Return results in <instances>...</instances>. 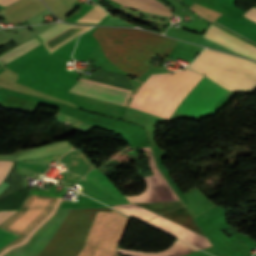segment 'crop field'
Returning <instances> with one entry per match:
<instances>
[{
  "mask_svg": "<svg viewBox=\"0 0 256 256\" xmlns=\"http://www.w3.org/2000/svg\"><path fill=\"white\" fill-rule=\"evenodd\" d=\"M173 73L150 75L127 106L168 119L203 77L188 70ZM226 93L204 77L184 99L177 112L203 118Z\"/></svg>",
  "mask_w": 256,
  "mask_h": 256,
  "instance_id": "crop-field-1",
  "label": "crop field"
},
{
  "mask_svg": "<svg viewBox=\"0 0 256 256\" xmlns=\"http://www.w3.org/2000/svg\"><path fill=\"white\" fill-rule=\"evenodd\" d=\"M93 37L107 59L126 75L139 77L150 66V58L167 56L177 40L136 29L98 27Z\"/></svg>",
  "mask_w": 256,
  "mask_h": 256,
  "instance_id": "crop-field-2",
  "label": "crop field"
},
{
  "mask_svg": "<svg viewBox=\"0 0 256 256\" xmlns=\"http://www.w3.org/2000/svg\"><path fill=\"white\" fill-rule=\"evenodd\" d=\"M233 91L256 87V63L247 59L205 49L188 67Z\"/></svg>",
  "mask_w": 256,
  "mask_h": 256,
  "instance_id": "crop-field-3",
  "label": "crop field"
},
{
  "mask_svg": "<svg viewBox=\"0 0 256 256\" xmlns=\"http://www.w3.org/2000/svg\"><path fill=\"white\" fill-rule=\"evenodd\" d=\"M85 208L71 209L57 234L39 256H52ZM97 210H110V208H86L82 216L64 239L53 256H77L82 249L91 222Z\"/></svg>",
  "mask_w": 256,
  "mask_h": 256,
  "instance_id": "crop-field-4",
  "label": "crop field"
},
{
  "mask_svg": "<svg viewBox=\"0 0 256 256\" xmlns=\"http://www.w3.org/2000/svg\"><path fill=\"white\" fill-rule=\"evenodd\" d=\"M132 91L109 86L85 79H81L71 89L70 93L98 99L101 101L126 107L127 100Z\"/></svg>",
  "mask_w": 256,
  "mask_h": 256,
  "instance_id": "crop-field-5",
  "label": "crop field"
},
{
  "mask_svg": "<svg viewBox=\"0 0 256 256\" xmlns=\"http://www.w3.org/2000/svg\"><path fill=\"white\" fill-rule=\"evenodd\" d=\"M152 212H155L167 219H170L184 227H187L201 235L204 233L185 209L181 201L165 204H138Z\"/></svg>",
  "mask_w": 256,
  "mask_h": 256,
  "instance_id": "crop-field-6",
  "label": "crop field"
},
{
  "mask_svg": "<svg viewBox=\"0 0 256 256\" xmlns=\"http://www.w3.org/2000/svg\"><path fill=\"white\" fill-rule=\"evenodd\" d=\"M204 38L256 61V47L211 24Z\"/></svg>",
  "mask_w": 256,
  "mask_h": 256,
  "instance_id": "crop-field-7",
  "label": "crop field"
},
{
  "mask_svg": "<svg viewBox=\"0 0 256 256\" xmlns=\"http://www.w3.org/2000/svg\"><path fill=\"white\" fill-rule=\"evenodd\" d=\"M71 145L67 141L57 142L52 145L38 147L20 155L16 160L33 159L48 155L62 154L70 151Z\"/></svg>",
  "mask_w": 256,
  "mask_h": 256,
  "instance_id": "crop-field-8",
  "label": "crop field"
},
{
  "mask_svg": "<svg viewBox=\"0 0 256 256\" xmlns=\"http://www.w3.org/2000/svg\"><path fill=\"white\" fill-rule=\"evenodd\" d=\"M114 1L121 3L123 5H126V6L134 7L139 10L170 16V14H169L170 10L156 0H132V1L144 4L147 6H151V7H154V8L169 12V13L162 12V11H159V10H156V9H153V8H150V7H147V6H144V5L129 1V0H114Z\"/></svg>",
  "mask_w": 256,
  "mask_h": 256,
  "instance_id": "crop-field-9",
  "label": "crop field"
},
{
  "mask_svg": "<svg viewBox=\"0 0 256 256\" xmlns=\"http://www.w3.org/2000/svg\"><path fill=\"white\" fill-rule=\"evenodd\" d=\"M40 44V41L37 37L17 46L16 48L8 51L7 53L0 56V64H5L10 60L14 59L15 57L21 55L22 53L28 51L29 49L33 48L34 46Z\"/></svg>",
  "mask_w": 256,
  "mask_h": 256,
  "instance_id": "crop-field-10",
  "label": "crop field"
},
{
  "mask_svg": "<svg viewBox=\"0 0 256 256\" xmlns=\"http://www.w3.org/2000/svg\"><path fill=\"white\" fill-rule=\"evenodd\" d=\"M60 199L61 198H58V200L56 201V203L54 204V206H53V208H52V210H51V212L20 242V243H18V244H16V245H14V246H12V247H10V248H8V249H6V250H4V251H2V252H0V256L1 255H3L4 253H6L7 251H9V250H11V249H13V248H15V247H18V246H20V245H22V244H24L25 242H27L28 241V239H29V237L55 212V210H56V208H57V206H58V203H59V201H60Z\"/></svg>",
  "mask_w": 256,
  "mask_h": 256,
  "instance_id": "crop-field-11",
  "label": "crop field"
},
{
  "mask_svg": "<svg viewBox=\"0 0 256 256\" xmlns=\"http://www.w3.org/2000/svg\"><path fill=\"white\" fill-rule=\"evenodd\" d=\"M68 26L69 25H65L63 23H57L56 25L52 26L48 30L40 33L38 36H40L42 38L43 42H44L47 39H49L50 37H52L55 34H57L58 32H60L61 30L65 29Z\"/></svg>",
  "mask_w": 256,
  "mask_h": 256,
  "instance_id": "crop-field-12",
  "label": "crop field"
},
{
  "mask_svg": "<svg viewBox=\"0 0 256 256\" xmlns=\"http://www.w3.org/2000/svg\"><path fill=\"white\" fill-rule=\"evenodd\" d=\"M12 164L13 161H0V182L4 179Z\"/></svg>",
  "mask_w": 256,
  "mask_h": 256,
  "instance_id": "crop-field-13",
  "label": "crop field"
},
{
  "mask_svg": "<svg viewBox=\"0 0 256 256\" xmlns=\"http://www.w3.org/2000/svg\"><path fill=\"white\" fill-rule=\"evenodd\" d=\"M16 211H3L0 212V224L4 222L7 218H9Z\"/></svg>",
  "mask_w": 256,
  "mask_h": 256,
  "instance_id": "crop-field-14",
  "label": "crop field"
},
{
  "mask_svg": "<svg viewBox=\"0 0 256 256\" xmlns=\"http://www.w3.org/2000/svg\"><path fill=\"white\" fill-rule=\"evenodd\" d=\"M244 16L256 22V8L253 7L250 11L245 13Z\"/></svg>",
  "mask_w": 256,
  "mask_h": 256,
  "instance_id": "crop-field-15",
  "label": "crop field"
},
{
  "mask_svg": "<svg viewBox=\"0 0 256 256\" xmlns=\"http://www.w3.org/2000/svg\"><path fill=\"white\" fill-rule=\"evenodd\" d=\"M18 237L19 236H16V235L13 234V235L9 236L8 238L4 239L3 241L0 242V248H2L3 246H5L9 242L15 240Z\"/></svg>",
  "mask_w": 256,
  "mask_h": 256,
  "instance_id": "crop-field-16",
  "label": "crop field"
},
{
  "mask_svg": "<svg viewBox=\"0 0 256 256\" xmlns=\"http://www.w3.org/2000/svg\"><path fill=\"white\" fill-rule=\"evenodd\" d=\"M17 0H0V4L3 6L9 5Z\"/></svg>",
  "mask_w": 256,
  "mask_h": 256,
  "instance_id": "crop-field-17",
  "label": "crop field"
},
{
  "mask_svg": "<svg viewBox=\"0 0 256 256\" xmlns=\"http://www.w3.org/2000/svg\"><path fill=\"white\" fill-rule=\"evenodd\" d=\"M256 7V6H255Z\"/></svg>",
  "mask_w": 256,
  "mask_h": 256,
  "instance_id": "crop-field-18",
  "label": "crop field"
}]
</instances>
